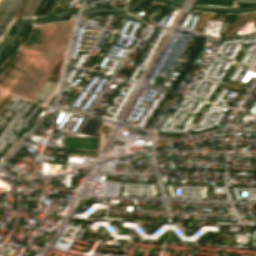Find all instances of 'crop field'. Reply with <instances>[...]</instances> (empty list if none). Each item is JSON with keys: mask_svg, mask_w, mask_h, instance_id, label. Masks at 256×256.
Masks as SVG:
<instances>
[{"mask_svg": "<svg viewBox=\"0 0 256 256\" xmlns=\"http://www.w3.org/2000/svg\"><path fill=\"white\" fill-rule=\"evenodd\" d=\"M73 20L60 22L29 68L11 89L10 93L29 99L65 52ZM51 72V71H50Z\"/></svg>", "mask_w": 256, "mask_h": 256, "instance_id": "crop-field-1", "label": "crop field"}, {"mask_svg": "<svg viewBox=\"0 0 256 256\" xmlns=\"http://www.w3.org/2000/svg\"><path fill=\"white\" fill-rule=\"evenodd\" d=\"M23 0H16L9 12L7 13L6 17L4 18L3 22L0 24V34L8 24V22L11 20L17 9L19 8L20 4L22 3Z\"/></svg>", "mask_w": 256, "mask_h": 256, "instance_id": "crop-field-2", "label": "crop field"}, {"mask_svg": "<svg viewBox=\"0 0 256 256\" xmlns=\"http://www.w3.org/2000/svg\"><path fill=\"white\" fill-rule=\"evenodd\" d=\"M42 0H31V2L29 3L28 7L26 8V10L24 11L22 17H30L33 16L34 12L36 11V9L38 8L39 4L41 3Z\"/></svg>", "mask_w": 256, "mask_h": 256, "instance_id": "crop-field-3", "label": "crop field"}, {"mask_svg": "<svg viewBox=\"0 0 256 256\" xmlns=\"http://www.w3.org/2000/svg\"><path fill=\"white\" fill-rule=\"evenodd\" d=\"M15 0H0V23Z\"/></svg>", "mask_w": 256, "mask_h": 256, "instance_id": "crop-field-4", "label": "crop field"}]
</instances>
